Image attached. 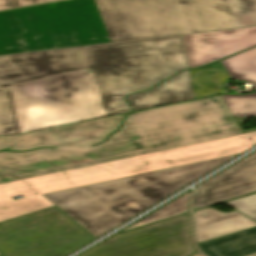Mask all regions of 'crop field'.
Here are the masks:
<instances>
[{"label":"crop field","mask_w":256,"mask_h":256,"mask_svg":"<svg viewBox=\"0 0 256 256\" xmlns=\"http://www.w3.org/2000/svg\"><path fill=\"white\" fill-rule=\"evenodd\" d=\"M256 25V0H69L0 12V55Z\"/></svg>","instance_id":"obj_1"},{"label":"crop field","mask_w":256,"mask_h":256,"mask_svg":"<svg viewBox=\"0 0 256 256\" xmlns=\"http://www.w3.org/2000/svg\"><path fill=\"white\" fill-rule=\"evenodd\" d=\"M124 114L20 136L0 137V183L115 161L241 134L220 96L136 112L109 141Z\"/></svg>","instance_id":"obj_2"},{"label":"crop field","mask_w":256,"mask_h":256,"mask_svg":"<svg viewBox=\"0 0 256 256\" xmlns=\"http://www.w3.org/2000/svg\"><path fill=\"white\" fill-rule=\"evenodd\" d=\"M84 70L0 90V136L131 111L124 100L188 69L181 35L87 46Z\"/></svg>","instance_id":"obj_3"},{"label":"crop field","mask_w":256,"mask_h":256,"mask_svg":"<svg viewBox=\"0 0 256 256\" xmlns=\"http://www.w3.org/2000/svg\"><path fill=\"white\" fill-rule=\"evenodd\" d=\"M256 132L0 184V222L56 206L42 194L242 153ZM21 195L23 199L12 197Z\"/></svg>","instance_id":"obj_4"},{"label":"crop field","mask_w":256,"mask_h":256,"mask_svg":"<svg viewBox=\"0 0 256 256\" xmlns=\"http://www.w3.org/2000/svg\"><path fill=\"white\" fill-rule=\"evenodd\" d=\"M236 156L238 155L44 196L97 238Z\"/></svg>","instance_id":"obj_5"},{"label":"crop field","mask_w":256,"mask_h":256,"mask_svg":"<svg viewBox=\"0 0 256 256\" xmlns=\"http://www.w3.org/2000/svg\"><path fill=\"white\" fill-rule=\"evenodd\" d=\"M93 239L57 206L0 223L1 256H65Z\"/></svg>","instance_id":"obj_6"},{"label":"crop field","mask_w":256,"mask_h":256,"mask_svg":"<svg viewBox=\"0 0 256 256\" xmlns=\"http://www.w3.org/2000/svg\"><path fill=\"white\" fill-rule=\"evenodd\" d=\"M195 252L186 213L116 234L78 256H189Z\"/></svg>","instance_id":"obj_7"},{"label":"crop field","mask_w":256,"mask_h":256,"mask_svg":"<svg viewBox=\"0 0 256 256\" xmlns=\"http://www.w3.org/2000/svg\"><path fill=\"white\" fill-rule=\"evenodd\" d=\"M88 68L92 66L86 46L0 56V88Z\"/></svg>","instance_id":"obj_8"},{"label":"crop field","mask_w":256,"mask_h":256,"mask_svg":"<svg viewBox=\"0 0 256 256\" xmlns=\"http://www.w3.org/2000/svg\"><path fill=\"white\" fill-rule=\"evenodd\" d=\"M189 68L256 45V26L182 35Z\"/></svg>","instance_id":"obj_9"},{"label":"crop field","mask_w":256,"mask_h":256,"mask_svg":"<svg viewBox=\"0 0 256 256\" xmlns=\"http://www.w3.org/2000/svg\"><path fill=\"white\" fill-rule=\"evenodd\" d=\"M196 187L192 210L256 191V152Z\"/></svg>","instance_id":"obj_10"},{"label":"crop field","mask_w":256,"mask_h":256,"mask_svg":"<svg viewBox=\"0 0 256 256\" xmlns=\"http://www.w3.org/2000/svg\"><path fill=\"white\" fill-rule=\"evenodd\" d=\"M189 72L195 98L225 93L224 85L230 78L256 86V47Z\"/></svg>","instance_id":"obj_11"},{"label":"crop field","mask_w":256,"mask_h":256,"mask_svg":"<svg viewBox=\"0 0 256 256\" xmlns=\"http://www.w3.org/2000/svg\"><path fill=\"white\" fill-rule=\"evenodd\" d=\"M196 243H202L256 226V222L234 210L223 213L207 207L192 213Z\"/></svg>","instance_id":"obj_12"},{"label":"crop field","mask_w":256,"mask_h":256,"mask_svg":"<svg viewBox=\"0 0 256 256\" xmlns=\"http://www.w3.org/2000/svg\"><path fill=\"white\" fill-rule=\"evenodd\" d=\"M192 99L189 73L184 71L150 91L129 96L127 101L138 111Z\"/></svg>","instance_id":"obj_13"},{"label":"crop field","mask_w":256,"mask_h":256,"mask_svg":"<svg viewBox=\"0 0 256 256\" xmlns=\"http://www.w3.org/2000/svg\"><path fill=\"white\" fill-rule=\"evenodd\" d=\"M198 246L207 256H243L256 251V227Z\"/></svg>","instance_id":"obj_14"},{"label":"crop field","mask_w":256,"mask_h":256,"mask_svg":"<svg viewBox=\"0 0 256 256\" xmlns=\"http://www.w3.org/2000/svg\"><path fill=\"white\" fill-rule=\"evenodd\" d=\"M221 98L235 119L242 134L256 131V129L243 131L241 128L247 117L256 116V93L244 96L224 95Z\"/></svg>","instance_id":"obj_15"},{"label":"crop field","mask_w":256,"mask_h":256,"mask_svg":"<svg viewBox=\"0 0 256 256\" xmlns=\"http://www.w3.org/2000/svg\"><path fill=\"white\" fill-rule=\"evenodd\" d=\"M185 194V193H184ZM192 192L191 190L187 192L185 195L173 200L172 202L166 204L165 206L161 207L160 209L154 211L153 213L149 214L148 216L142 218L141 220L133 223L132 225L126 227L125 229L117 232H123L127 230H131L137 227H141L150 223H154L166 218H170L179 214H183L187 212L188 204L190 200Z\"/></svg>","instance_id":"obj_16"},{"label":"crop field","mask_w":256,"mask_h":256,"mask_svg":"<svg viewBox=\"0 0 256 256\" xmlns=\"http://www.w3.org/2000/svg\"><path fill=\"white\" fill-rule=\"evenodd\" d=\"M226 204L256 221V194Z\"/></svg>","instance_id":"obj_17"},{"label":"crop field","mask_w":256,"mask_h":256,"mask_svg":"<svg viewBox=\"0 0 256 256\" xmlns=\"http://www.w3.org/2000/svg\"><path fill=\"white\" fill-rule=\"evenodd\" d=\"M53 0H0V10Z\"/></svg>","instance_id":"obj_18"},{"label":"crop field","mask_w":256,"mask_h":256,"mask_svg":"<svg viewBox=\"0 0 256 256\" xmlns=\"http://www.w3.org/2000/svg\"><path fill=\"white\" fill-rule=\"evenodd\" d=\"M246 256H256V252L252 253V254H249V255H246Z\"/></svg>","instance_id":"obj_19"},{"label":"crop field","mask_w":256,"mask_h":256,"mask_svg":"<svg viewBox=\"0 0 256 256\" xmlns=\"http://www.w3.org/2000/svg\"><path fill=\"white\" fill-rule=\"evenodd\" d=\"M194 256H201V255L198 253V254H196V255H194Z\"/></svg>","instance_id":"obj_20"}]
</instances>
